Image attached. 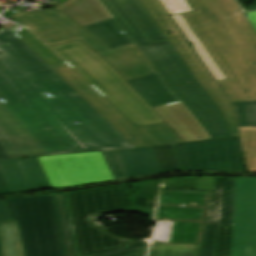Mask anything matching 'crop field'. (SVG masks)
<instances>
[{
    "instance_id": "obj_36",
    "label": "crop field",
    "mask_w": 256,
    "mask_h": 256,
    "mask_svg": "<svg viewBox=\"0 0 256 256\" xmlns=\"http://www.w3.org/2000/svg\"><path fill=\"white\" fill-rule=\"evenodd\" d=\"M246 16L248 17V19L250 20L251 24L253 25V27L256 30V12L247 13Z\"/></svg>"
},
{
    "instance_id": "obj_18",
    "label": "crop field",
    "mask_w": 256,
    "mask_h": 256,
    "mask_svg": "<svg viewBox=\"0 0 256 256\" xmlns=\"http://www.w3.org/2000/svg\"><path fill=\"white\" fill-rule=\"evenodd\" d=\"M56 10L65 12L81 26L112 18L99 0H68Z\"/></svg>"
},
{
    "instance_id": "obj_10",
    "label": "crop field",
    "mask_w": 256,
    "mask_h": 256,
    "mask_svg": "<svg viewBox=\"0 0 256 256\" xmlns=\"http://www.w3.org/2000/svg\"><path fill=\"white\" fill-rule=\"evenodd\" d=\"M38 158L52 187L113 179L100 152Z\"/></svg>"
},
{
    "instance_id": "obj_15",
    "label": "crop field",
    "mask_w": 256,
    "mask_h": 256,
    "mask_svg": "<svg viewBox=\"0 0 256 256\" xmlns=\"http://www.w3.org/2000/svg\"><path fill=\"white\" fill-rule=\"evenodd\" d=\"M0 145L8 159L44 154L1 104Z\"/></svg>"
},
{
    "instance_id": "obj_9",
    "label": "crop field",
    "mask_w": 256,
    "mask_h": 256,
    "mask_svg": "<svg viewBox=\"0 0 256 256\" xmlns=\"http://www.w3.org/2000/svg\"><path fill=\"white\" fill-rule=\"evenodd\" d=\"M1 98L6 103H0L46 155L74 153L0 72Z\"/></svg>"
},
{
    "instance_id": "obj_20",
    "label": "crop field",
    "mask_w": 256,
    "mask_h": 256,
    "mask_svg": "<svg viewBox=\"0 0 256 256\" xmlns=\"http://www.w3.org/2000/svg\"><path fill=\"white\" fill-rule=\"evenodd\" d=\"M83 28L112 49L133 44V41L126 33H120L124 29L122 30L114 18L83 26Z\"/></svg>"
},
{
    "instance_id": "obj_17",
    "label": "crop field",
    "mask_w": 256,
    "mask_h": 256,
    "mask_svg": "<svg viewBox=\"0 0 256 256\" xmlns=\"http://www.w3.org/2000/svg\"><path fill=\"white\" fill-rule=\"evenodd\" d=\"M152 107L178 102L158 73L127 81Z\"/></svg>"
},
{
    "instance_id": "obj_7",
    "label": "crop field",
    "mask_w": 256,
    "mask_h": 256,
    "mask_svg": "<svg viewBox=\"0 0 256 256\" xmlns=\"http://www.w3.org/2000/svg\"><path fill=\"white\" fill-rule=\"evenodd\" d=\"M70 86L87 100L136 148L184 142L166 123L136 127L97 90L85 82L68 65L53 68Z\"/></svg>"
},
{
    "instance_id": "obj_24",
    "label": "crop field",
    "mask_w": 256,
    "mask_h": 256,
    "mask_svg": "<svg viewBox=\"0 0 256 256\" xmlns=\"http://www.w3.org/2000/svg\"><path fill=\"white\" fill-rule=\"evenodd\" d=\"M247 171H256V127H239Z\"/></svg>"
},
{
    "instance_id": "obj_30",
    "label": "crop field",
    "mask_w": 256,
    "mask_h": 256,
    "mask_svg": "<svg viewBox=\"0 0 256 256\" xmlns=\"http://www.w3.org/2000/svg\"><path fill=\"white\" fill-rule=\"evenodd\" d=\"M233 226H220L215 256H230Z\"/></svg>"
},
{
    "instance_id": "obj_11",
    "label": "crop field",
    "mask_w": 256,
    "mask_h": 256,
    "mask_svg": "<svg viewBox=\"0 0 256 256\" xmlns=\"http://www.w3.org/2000/svg\"><path fill=\"white\" fill-rule=\"evenodd\" d=\"M231 256H256V178H236Z\"/></svg>"
},
{
    "instance_id": "obj_5",
    "label": "crop field",
    "mask_w": 256,
    "mask_h": 256,
    "mask_svg": "<svg viewBox=\"0 0 256 256\" xmlns=\"http://www.w3.org/2000/svg\"><path fill=\"white\" fill-rule=\"evenodd\" d=\"M68 195L80 256L126 248V239L93 225L91 219L101 213L126 212L127 184Z\"/></svg>"
},
{
    "instance_id": "obj_38",
    "label": "crop field",
    "mask_w": 256,
    "mask_h": 256,
    "mask_svg": "<svg viewBox=\"0 0 256 256\" xmlns=\"http://www.w3.org/2000/svg\"><path fill=\"white\" fill-rule=\"evenodd\" d=\"M0 256H2L1 244H0Z\"/></svg>"
},
{
    "instance_id": "obj_33",
    "label": "crop field",
    "mask_w": 256,
    "mask_h": 256,
    "mask_svg": "<svg viewBox=\"0 0 256 256\" xmlns=\"http://www.w3.org/2000/svg\"><path fill=\"white\" fill-rule=\"evenodd\" d=\"M12 220L4 200L0 201V221Z\"/></svg>"
},
{
    "instance_id": "obj_32",
    "label": "crop field",
    "mask_w": 256,
    "mask_h": 256,
    "mask_svg": "<svg viewBox=\"0 0 256 256\" xmlns=\"http://www.w3.org/2000/svg\"><path fill=\"white\" fill-rule=\"evenodd\" d=\"M146 248H147V244L129 248V249L113 251V252H108V253H103V254H98L93 256H145Z\"/></svg>"
},
{
    "instance_id": "obj_35",
    "label": "crop field",
    "mask_w": 256,
    "mask_h": 256,
    "mask_svg": "<svg viewBox=\"0 0 256 256\" xmlns=\"http://www.w3.org/2000/svg\"><path fill=\"white\" fill-rule=\"evenodd\" d=\"M146 242L143 239H139V240H127V248L129 247H133V246H137V245H141V244H145Z\"/></svg>"
},
{
    "instance_id": "obj_37",
    "label": "crop field",
    "mask_w": 256,
    "mask_h": 256,
    "mask_svg": "<svg viewBox=\"0 0 256 256\" xmlns=\"http://www.w3.org/2000/svg\"><path fill=\"white\" fill-rule=\"evenodd\" d=\"M7 159L6 155L4 154L3 150L0 147V160Z\"/></svg>"
},
{
    "instance_id": "obj_12",
    "label": "crop field",
    "mask_w": 256,
    "mask_h": 256,
    "mask_svg": "<svg viewBox=\"0 0 256 256\" xmlns=\"http://www.w3.org/2000/svg\"><path fill=\"white\" fill-rule=\"evenodd\" d=\"M51 49L92 87L123 80L108 63L79 41Z\"/></svg>"
},
{
    "instance_id": "obj_22",
    "label": "crop field",
    "mask_w": 256,
    "mask_h": 256,
    "mask_svg": "<svg viewBox=\"0 0 256 256\" xmlns=\"http://www.w3.org/2000/svg\"><path fill=\"white\" fill-rule=\"evenodd\" d=\"M66 256H76L65 193L53 194Z\"/></svg>"
},
{
    "instance_id": "obj_25",
    "label": "crop field",
    "mask_w": 256,
    "mask_h": 256,
    "mask_svg": "<svg viewBox=\"0 0 256 256\" xmlns=\"http://www.w3.org/2000/svg\"><path fill=\"white\" fill-rule=\"evenodd\" d=\"M151 148L157 159L161 173L183 170L173 144Z\"/></svg>"
},
{
    "instance_id": "obj_26",
    "label": "crop field",
    "mask_w": 256,
    "mask_h": 256,
    "mask_svg": "<svg viewBox=\"0 0 256 256\" xmlns=\"http://www.w3.org/2000/svg\"><path fill=\"white\" fill-rule=\"evenodd\" d=\"M234 183L235 178H226L220 225H233Z\"/></svg>"
},
{
    "instance_id": "obj_8",
    "label": "crop field",
    "mask_w": 256,
    "mask_h": 256,
    "mask_svg": "<svg viewBox=\"0 0 256 256\" xmlns=\"http://www.w3.org/2000/svg\"><path fill=\"white\" fill-rule=\"evenodd\" d=\"M174 145L184 170L244 171L239 136Z\"/></svg>"
},
{
    "instance_id": "obj_16",
    "label": "crop field",
    "mask_w": 256,
    "mask_h": 256,
    "mask_svg": "<svg viewBox=\"0 0 256 256\" xmlns=\"http://www.w3.org/2000/svg\"><path fill=\"white\" fill-rule=\"evenodd\" d=\"M154 109L185 142L210 139L181 102Z\"/></svg>"
},
{
    "instance_id": "obj_6",
    "label": "crop field",
    "mask_w": 256,
    "mask_h": 256,
    "mask_svg": "<svg viewBox=\"0 0 256 256\" xmlns=\"http://www.w3.org/2000/svg\"><path fill=\"white\" fill-rule=\"evenodd\" d=\"M5 201L18 220L26 256H65L52 194Z\"/></svg>"
},
{
    "instance_id": "obj_1",
    "label": "crop field",
    "mask_w": 256,
    "mask_h": 256,
    "mask_svg": "<svg viewBox=\"0 0 256 256\" xmlns=\"http://www.w3.org/2000/svg\"><path fill=\"white\" fill-rule=\"evenodd\" d=\"M163 35L220 107L233 136L238 135L229 102L256 101V31L234 0H187L189 27L227 80L215 82L189 47L159 0H138ZM172 31L166 35V30Z\"/></svg>"
},
{
    "instance_id": "obj_28",
    "label": "crop field",
    "mask_w": 256,
    "mask_h": 256,
    "mask_svg": "<svg viewBox=\"0 0 256 256\" xmlns=\"http://www.w3.org/2000/svg\"><path fill=\"white\" fill-rule=\"evenodd\" d=\"M239 126H256V102L234 103Z\"/></svg>"
},
{
    "instance_id": "obj_31",
    "label": "crop field",
    "mask_w": 256,
    "mask_h": 256,
    "mask_svg": "<svg viewBox=\"0 0 256 256\" xmlns=\"http://www.w3.org/2000/svg\"><path fill=\"white\" fill-rule=\"evenodd\" d=\"M115 179L128 178L117 151L102 152Z\"/></svg>"
},
{
    "instance_id": "obj_13",
    "label": "crop field",
    "mask_w": 256,
    "mask_h": 256,
    "mask_svg": "<svg viewBox=\"0 0 256 256\" xmlns=\"http://www.w3.org/2000/svg\"><path fill=\"white\" fill-rule=\"evenodd\" d=\"M95 89L134 124L143 126L164 121L125 80Z\"/></svg>"
},
{
    "instance_id": "obj_4",
    "label": "crop field",
    "mask_w": 256,
    "mask_h": 256,
    "mask_svg": "<svg viewBox=\"0 0 256 256\" xmlns=\"http://www.w3.org/2000/svg\"><path fill=\"white\" fill-rule=\"evenodd\" d=\"M12 11L3 16L27 26L49 47L79 40L107 60L126 80L157 71L136 44L112 50L63 12L54 9ZM138 53L142 55L138 56Z\"/></svg>"
},
{
    "instance_id": "obj_14",
    "label": "crop field",
    "mask_w": 256,
    "mask_h": 256,
    "mask_svg": "<svg viewBox=\"0 0 256 256\" xmlns=\"http://www.w3.org/2000/svg\"><path fill=\"white\" fill-rule=\"evenodd\" d=\"M0 169L11 193L50 187L37 157L3 160Z\"/></svg>"
},
{
    "instance_id": "obj_21",
    "label": "crop field",
    "mask_w": 256,
    "mask_h": 256,
    "mask_svg": "<svg viewBox=\"0 0 256 256\" xmlns=\"http://www.w3.org/2000/svg\"><path fill=\"white\" fill-rule=\"evenodd\" d=\"M3 256H25L17 221L0 222Z\"/></svg>"
},
{
    "instance_id": "obj_29",
    "label": "crop field",
    "mask_w": 256,
    "mask_h": 256,
    "mask_svg": "<svg viewBox=\"0 0 256 256\" xmlns=\"http://www.w3.org/2000/svg\"><path fill=\"white\" fill-rule=\"evenodd\" d=\"M219 226H205L199 256H214Z\"/></svg>"
},
{
    "instance_id": "obj_27",
    "label": "crop field",
    "mask_w": 256,
    "mask_h": 256,
    "mask_svg": "<svg viewBox=\"0 0 256 256\" xmlns=\"http://www.w3.org/2000/svg\"><path fill=\"white\" fill-rule=\"evenodd\" d=\"M225 177H217L206 225H219Z\"/></svg>"
},
{
    "instance_id": "obj_23",
    "label": "crop field",
    "mask_w": 256,
    "mask_h": 256,
    "mask_svg": "<svg viewBox=\"0 0 256 256\" xmlns=\"http://www.w3.org/2000/svg\"><path fill=\"white\" fill-rule=\"evenodd\" d=\"M15 34L20 39H22L51 68L65 65V63L58 56H56L46 45H44L25 27H22Z\"/></svg>"
},
{
    "instance_id": "obj_3",
    "label": "crop field",
    "mask_w": 256,
    "mask_h": 256,
    "mask_svg": "<svg viewBox=\"0 0 256 256\" xmlns=\"http://www.w3.org/2000/svg\"><path fill=\"white\" fill-rule=\"evenodd\" d=\"M100 1L210 138L232 136L218 106L167 42L141 4L137 0Z\"/></svg>"
},
{
    "instance_id": "obj_2",
    "label": "crop field",
    "mask_w": 256,
    "mask_h": 256,
    "mask_svg": "<svg viewBox=\"0 0 256 256\" xmlns=\"http://www.w3.org/2000/svg\"><path fill=\"white\" fill-rule=\"evenodd\" d=\"M0 52L2 73L75 153L135 148L23 41L6 29L0 30ZM76 122L79 124L75 125Z\"/></svg>"
},
{
    "instance_id": "obj_19",
    "label": "crop field",
    "mask_w": 256,
    "mask_h": 256,
    "mask_svg": "<svg viewBox=\"0 0 256 256\" xmlns=\"http://www.w3.org/2000/svg\"><path fill=\"white\" fill-rule=\"evenodd\" d=\"M118 152L129 178L160 173L150 147Z\"/></svg>"
},
{
    "instance_id": "obj_34",
    "label": "crop field",
    "mask_w": 256,
    "mask_h": 256,
    "mask_svg": "<svg viewBox=\"0 0 256 256\" xmlns=\"http://www.w3.org/2000/svg\"><path fill=\"white\" fill-rule=\"evenodd\" d=\"M10 193L0 172V195Z\"/></svg>"
}]
</instances>
